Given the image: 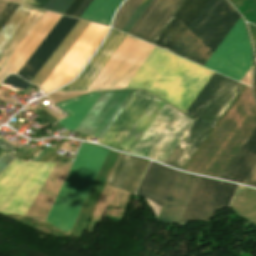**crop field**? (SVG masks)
Masks as SVG:
<instances>
[{
    "label": "crop field",
    "instance_id": "92a150f3",
    "mask_svg": "<svg viewBox=\"0 0 256 256\" xmlns=\"http://www.w3.org/2000/svg\"><path fill=\"white\" fill-rule=\"evenodd\" d=\"M165 104L166 103L155 98V100L152 102V104L147 109L145 114L142 116L140 121L134 127V129L129 134L127 139L124 141L122 146L120 145V151L130 153V151L133 149V147L145 133L147 128L150 126V124L153 122V120L156 118V116L159 114V112L162 110Z\"/></svg>",
    "mask_w": 256,
    "mask_h": 256
},
{
    "label": "crop field",
    "instance_id": "f4fd0767",
    "mask_svg": "<svg viewBox=\"0 0 256 256\" xmlns=\"http://www.w3.org/2000/svg\"><path fill=\"white\" fill-rule=\"evenodd\" d=\"M242 87L243 84L227 78L165 164L182 169Z\"/></svg>",
    "mask_w": 256,
    "mask_h": 256
},
{
    "label": "crop field",
    "instance_id": "eef30255",
    "mask_svg": "<svg viewBox=\"0 0 256 256\" xmlns=\"http://www.w3.org/2000/svg\"><path fill=\"white\" fill-rule=\"evenodd\" d=\"M18 6L19 4L8 2L7 5L3 8V10L0 12V29L8 21Z\"/></svg>",
    "mask_w": 256,
    "mask_h": 256
},
{
    "label": "crop field",
    "instance_id": "5142ce71",
    "mask_svg": "<svg viewBox=\"0 0 256 256\" xmlns=\"http://www.w3.org/2000/svg\"><path fill=\"white\" fill-rule=\"evenodd\" d=\"M125 37L126 34L112 28L107 39L80 77L57 91H87Z\"/></svg>",
    "mask_w": 256,
    "mask_h": 256
},
{
    "label": "crop field",
    "instance_id": "5866460e",
    "mask_svg": "<svg viewBox=\"0 0 256 256\" xmlns=\"http://www.w3.org/2000/svg\"><path fill=\"white\" fill-rule=\"evenodd\" d=\"M249 26H250L251 33H252V36H253V40H254L255 47H256V27L251 25V24H249Z\"/></svg>",
    "mask_w": 256,
    "mask_h": 256
},
{
    "label": "crop field",
    "instance_id": "e52e79f7",
    "mask_svg": "<svg viewBox=\"0 0 256 256\" xmlns=\"http://www.w3.org/2000/svg\"><path fill=\"white\" fill-rule=\"evenodd\" d=\"M250 63V42L244 23L239 18L204 67L240 82Z\"/></svg>",
    "mask_w": 256,
    "mask_h": 256
},
{
    "label": "crop field",
    "instance_id": "dafd665d",
    "mask_svg": "<svg viewBox=\"0 0 256 256\" xmlns=\"http://www.w3.org/2000/svg\"><path fill=\"white\" fill-rule=\"evenodd\" d=\"M225 80L226 77L214 72L200 93L185 111V114L196 120Z\"/></svg>",
    "mask_w": 256,
    "mask_h": 256
},
{
    "label": "crop field",
    "instance_id": "ae1a2a85",
    "mask_svg": "<svg viewBox=\"0 0 256 256\" xmlns=\"http://www.w3.org/2000/svg\"><path fill=\"white\" fill-rule=\"evenodd\" d=\"M4 83H7V84L15 86V87H18V88L23 89V90H25L30 85L27 82L23 81L22 79L14 76V75H9L5 79Z\"/></svg>",
    "mask_w": 256,
    "mask_h": 256
},
{
    "label": "crop field",
    "instance_id": "bd1437ed",
    "mask_svg": "<svg viewBox=\"0 0 256 256\" xmlns=\"http://www.w3.org/2000/svg\"><path fill=\"white\" fill-rule=\"evenodd\" d=\"M14 158L10 155H7L0 159V173L3 171V169L13 160Z\"/></svg>",
    "mask_w": 256,
    "mask_h": 256
},
{
    "label": "crop field",
    "instance_id": "8a807250",
    "mask_svg": "<svg viewBox=\"0 0 256 256\" xmlns=\"http://www.w3.org/2000/svg\"><path fill=\"white\" fill-rule=\"evenodd\" d=\"M212 73L155 47L126 88H144L184 113Z\"/></svg>",
    "mask_w": 256,
    "mask_h": 256
},
{
    "label": "crop field",
    "instance_id": "0bd39190",
    "mask_svg": "<svg viewBox=\"0 0 256 256\" xmlns=\"http://www.w3.org/2000/svg\"><path fill=\"white\" fill-rule=\"evenodd\" d=\"M36 85V84H35ZM38 86V85H37ZM40 87V86H39Z\"/></svg>",
    "mask_w": 256,
    "mask_h": 256
},
{
    "label": "crop field",
    "instance_id": "00972430",
    "mask_svg": "<svg viewBox=\"0 0 256 256\" xmlns=\"http://www.w3.org/2000/svg\"><path fill=\"white\" fill-rule=\"evenodd\" d=\"M122 0H93L81 18L110 24L112 14Z\"/></svg>",
    "mask_w": 256,
    "mask_h": 256
},
{
    "label": "crop field",
    "instance_id": "d8731c3e",
    "mask_svg": "<svg viewBox=\"0 0 256 256\" xmlns=\"http://www.w3.org/2000/svg\"><path fill=\"white\" fill-rule=\"evenodd\" d=\"M236 186L201 177L179 222L210 220L218 209L228 204Z\"/></svg>",
    "mask_w": 256,
    "mask_h": 256
},
{
    "label": "crop field",
    "instance_id": "cbeb9de0",
    "mask_svg": "<svg viewBox=\"0 0 256 256\" xmlns=\"http://www.w3.org/2000/svg\"><path fill=\"white\" fill-rule=\"evenodd\" d=\"M182 1L152 0L129 34L152 43Z\"/></svg>",
    "mask_w": 256,
    "mask_h": 256
},
{
    "label": "crop field",
    "instance_id": "733c2abd",
    "mask_svg": "<svg viewBox=\"0 0 256 256\" xmlns=\"http://www.w3.org/2000/svg\"><path fill=\"white\" fill-rule=\"evenodd\" d=\"M200 177L180 172L158 217L166 224L177 223Z\"/></svg>",
    "mask_w": 256,
    "mask_h": 256
},
{
    "label": "crop field",
    "instance_id": "412701ff",
    "mask_svg": "<svg viewBox=\"0 0 256 256\" xmlns=\"http://www.w3.org/2000/svg\"><path fill=\"white\" fill-rule=\"evenodd\" d=\"M53 166L14 159L0 174V214L24 216Z\"/></svg>",
    "mask_w": 256,
    "mask_h": 256
},
{
    "label": "crop field",
    "instance_id": "d1516ede",
    "mask_svg": "<svg viewBox=\"0 0 256 256\" xmlns=\"http://www.w3.org/2000/svg\"><path fill=\"white\" fill-rule=\"evenodd\" d=\"M208 1L184 0L153 44L171 52Z\"/></svg>",
    "mask_w": 256,
    "mask_h": 256
},
{
    "label": "crop field",
    "instance_id": "28ad6ade",
    "mask_svg": "<svg viewBox=\"0 0 256 256\" xmlns=\"http://www.w3.org/2000/svg\"><path fill=\"white\" fill-rule=\"evenodd\" d=\"M155 97L137 90L115 119L99 144L118 150Z\"/></svg>",
    "mask_w": 256,
    "mask_h": 256
},
{
    "label": "crop field",
    "instance_id": "3316defc",
    "mask_svg": "<svg viewBox=\"0 0 256 256\" xmlns=\"http://www.w3.org/2000/svg\"><path fill=\"white\" fill-rule=\"evenodd\" d=\"M45 11L20 5L0 31V69L37 24Z\"/></svg>",
    "mask_w": 256,
    "mask_h": 256
},
{
    "label": "crop field",
    "instance_id": "d3111659",
    "mask_svg": "<svg viewBox=\"0 0 256 256\" xmlns=\"http://www.w3.org/2000/svg\"><path fill=\"white\" fill-rule=\"evenodd\" d=\"M243 183L256 187V165Z\"/></svg>",
    "mask_w": 256,
    "mask_h": 256
},
{
    "label": "crop field",
    "instance_id": "d9b57169",
    "mask_svg": "<svg viewBox=\"0 0 256 256\" xmlns=\"http://www.w3.org/2000/svg\"><path fill=\"white\" fill-rule=\"evenodd\" d=\"M178 173V171L152 162L136 194L163 206Z\"/></svg>",
    "mask_w": 256,
    "mask_h": 256
},
{
    "label": "crop field",
    "instance_id": "750c4746",
    "mask_svg": "<svg viewBox=\"0 0 256 256\" xmlns=\"http://www.w3.org/2000/svg\"><path fill=\"white\" fill-rule=\"evenodd\" d=\"M91 1L92 0H83L72 16L79 18Z\"/></svg>",
    "mask_w": 256,
    "mask_h": 256
},
{
    "label": "crop field",
    "instance_id": "1d83c4d3",
    "mask_svg": "<svg viewBox=\"0 0 256 256\" xmlns=\"http://www.w3.org/2000/svg\"><path fill=\"white\" fill-rule=\"evenodd\" d=\"M82 0H75L72 5L69 7V9L66 11L65 15L71 16L72 13L75 11V9L78 7V5L81 3Z\"/></svg>",
    "mask_w": 256,
    "mask_h": 256
},
{
    "label": "crop field",
    "instance_id": "4a817a6b",
    "mask_svg": "<svg viewBox=\"0 0 256 256\" xmlns=\"http://www.w3.org/2000/svg\"><path fill=\"white\" fill-rule=\"evenodd\" d=\"M148 163L145 159L122 154L107 184L133 194Z\"/></svg>",
    "mask_w": 256,
    "mask_h": 256
},
{
    "label": "crop field",
    "instance_id": "a9b5d70f",
    "mask_svg": "<svg viewBox=\"0 0 256 256\" xmlns=\"http://www.w3.org/2000/svg\"><path fill=\"white\" fill-rule=\"evenodd\" d=\"M142 1L143 0H127L119 9L113 27L121 30Z\"/></svg>",
    "mask_w": 256,
    "mask_h": 256
},
{
    "label": "crop field",
    "instance_id": "028f5c9d",
    "mask_svg": "<svg viewBox=\"0 0 256 256\" xmlns=\"http://www.w3.org/2000/svg\"><path fill=\"white\" fill-rule=\"evenodd\" d=\"M27 151H25V150H20L19 152H17V153H15L13 156H15V157H20L21 155H23V154H25Z\"/></svg>",
    "mask_w": 256,
    "mask_h": 256
},
{
    "label": "crop field",
    "instance_id": "bc2a9ffb",
    "mask_svg": "<svg viewBox=\"0 0 256 256\" xmlns=\"http://www.w3.org/2000/svg\"><path fill=\"white\" fill-rule=\"evenodd\" d=\"M256 164V128L220 175V179L240 182Z\"/></svg>",
    "mask_w": 256,
    "mask_h": 256
},
{
    "label": "crop field",
    "instance_id": "ac0d7876",
    "mask_svg": "<svg viewBox=\"0 0 256 256\" xmlns=\"http://www.w3.org/2000/svg\"><path fill=\"white\" fill-rule=\"evenodd\" d=\"M108 152L82 144L45 220L47 223L70 232Z\"/></svg>",
    "mask_w": 256,
    "mask_h": 256
},
{
    "label": "crop field",
    "instance_id": "730fd06b",
    "mask_svg": "<svg viewBox=\"0 0 256 256\" xmlns=\"http://www.w3.org/2000/svg\"><path fill=\"white\" fill-rule=\"evenodd\" d=\"M151 2V0H144L141 5L138 7V9L135 11V13L132 15V17L129 19V21L126 23V25L123 27L122 31L128 33V31L131 29V27L134 25V23L137 21V19L140 17L142 12L145 10V8L148 6V4Z\"/></svg>",
    "mask_w": 256,
    "mask_h": 256
},
{
    "label": "crop field",
    "instance_id": "dd49c442",
    "mask_svg": "<svg viewBox=\"0 0 256 256\" xmlns=\"http://www.w3.org/2000/svg\"><path fill=\"white\" fill-rule=\"evenodd\" d=\"M193 122L166 104L131 153L164 163Z\"/></svg>",
    "mask_w": 256,
    "mask_h": 256
},
{
    "label": "crop field",
    "instance_id": "22f410ed",
    "mask_svg": "<svg viewBox=\"0 0 256 256\" xmlns=\"http://www.w3.org/2000/svg\"><path fill=\"white\" fill-rule=\"evenodd\" d=\"M77 21L62 16L17 75L31 82Z\"/></svg>",
    "mask_w": 256,
    "mask_h": 256
},
{
    "label": "crop field",
    "instance_id": "120bbe31",
    "mask_svg": "<svg viewBox=\"0 0 256 256\" xmlns=\"http://www.w3.org/2000/svg\"><path fill=\"white\" fill-rule=\"evenodd\" d=\"M0 147L2 149H4L5 151H7V152H10V151L16 149V148H14L13 146H11L10 144H8L7 142H5L1 139H0Z\"/></svg>",
    "mask_w": 256,
    "mask_h": 256
},
{
    "label": "crop field",
    "instance_id": "34b2d1b8",
    "mask_svg": "<svg viewBox=\"0 0 256 256\" xmlns=\"http://www.w3.org/2000/svg\"><path fill=\"white\" fill-rule=\"evenodd\" d=\"M238 17L226 0H210L172 53L203 66Z\"/></svg>",
    "mask_w": 256,
    "mask_h": 256
},
{
    "label": "crop field",
    "instance_id": "d32e631a",
    "mask_svg": "<svg viewBox=\"0 0 256 256\" xmlns=\"http://www.w3.org/2000/svg\"><path fill=\"white\" fill-rule=\"evenodd\" d=\"M47 1H48V0H36V1L33 3L32 7H36V8L42 9L43 6L46 4Z\"/></svg>",
    "mask_w": 256,
    "mask_h": 256
},
{
    "label": "crop field",
    "instance_id": "214f88e0",
    "mask_svg": "<svg viewBox=\"0 0 256 256\" xmlns=\"http://www.w3.org/2000/svg\"><path fill=\"white\" fill-rule=\"evenodd\" d=\"M102 92L90 93L60 104H57L60 108L65 110L70 115L58 122L64 128L74 131L98 97Z\"/></svg>",
    "mask_w": 256,
    "mask_h": 256
},
{
    "label": "crop field",
    "instance_id": "e1f06a70",
    "mask_svg": "<svg viewBox=\"0 0 256 256\" xmlns=\"http://www.w3.org/2000/svg\"><path fill=\"white\" fill-rule=\"evenodd\" d=\"M253 89L256 95V73H255V78H254V84H253Z\"/></svg>",
    "mask_w": 256,
    "mask_h": 256
},
{
    "label": "crop field",
    "instance_id": "4177f3b9",
    "mask_svg": "<svg viewBox=\"0 0 256 256\" xmlns=\"http://www.w3.org/2000/svg\"><path fill=\"white\" fill-rule=\"evenodd\" d=\"M74 0H49L44 6V10L64 14Z\"/></svg>",
    "mask_w": 256,
    "mask_h": 256
},
{
    "label": "crop field",
    "instance_id": "5a996713",
    "mask_svg": "<svg viewBox=\"0 0 256 256\" xmlns=\"http://www.w3.org/2000/svg\"><path fill=\"white\" fill-rule=\"evenodd\" d=\"M134 92L135 90L103 92L75 131L101 139Z\"/></svg>",
    "mask_w": 256,
    "mask_h": 256
}]
</instances>
